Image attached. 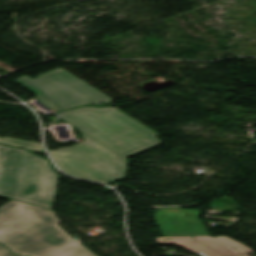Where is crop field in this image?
I'll return each instance as SVG.
<instances>
[{"mask_svg":"<svg viewBox=\"0 0 256 256\" xmlns=\"http://www.w3.org/2000/svg\"><path fill=\"white\" fill-rule=\"evenodd\" d=\"M200 214V211L192 209H158L155 220L164 236L209 235L199 220Z\"/></svg>","mask_w":256,"mask_h":256,"instance_id":"obj_5","label":"crop field"},{"mask_svg":"<svg viewBox=\"0 0 256 256\" xmlns=\"http://www.w3.org/2000/svg\"><path fill=\"white\" fill-rule=\"evenodd\" d=\"M166 238H169L171 241H163ZM157 243L178 244L187 250L202 256H220L217 252L195 242L192 237H160L157 238Z\"/></svg>","mask_w":256,"mask_h":256,"instance_id":"obj_7","label":"crop field"},{"mask_svg":"<svg viewBox=\"0 0 256 256\" xmlns=\"http://www.w3.org/2000/svg\"><path fill=\"white\" fill-rule=\"evenodd\" d=\"M27 152L0 146V196L45 208L57 177L47 161Z\"/></svg>","mask_w":256,"mask_h":256,"instance_id":"obj_3","label":"crop field"},{"mask_svg":"<svg viewBox=\"0 0 256 256\" xmlns=\"http://www.w3.org/2000/svg\"><path fill=\"white\" fill-rule=\"evenodd\" d=\"M61 119L82 132V142L49 151L65 173L108 184L125 177V158L160 141L156 134L115 108H82L58 113Z\"/></svg>","mask_w":256,"mask_h":256,"instance_id":"obj_1","label":"crop field"},{"mask_svg":"<svg viewBox=\"0 0 256 256\" xmlns=\"http://www.w3.org/2000/svg\"><path fill=\"white\" fill-rule=\"evenodd\" d=\"M193 238L194 240L214 249L222 256H232V255L252 252L251 249L237 242H234L225 236H220L215 238L211 236H202V237H193ZM233 247H235L237 250L233 249Z\"/></svg>","mask_w":256,"mask_h":256,"instance_id":"obj_6","label":"crop field"},{"mask_svg":"<svg viewBox=\"0 0 256 256\" xmlns=\"http://www.w3.org/2000/svg\"><path fill=\"white\" fill-rule=\"evenodd\" d=\"M244 256H249V255H244Z\"/></svg>","mask_w":256,"mask_h":256,"instance_id":"obj_10","label":"crop field"},{"mask_svg":"<svg viewBox=\"0 0 256 256\" xmlns=\"http://www.w3.org/2000/svg\"><path fill=\"white\" fill-rule=\"evenodd\" d=\"M0 256H15V255H11L6 249L0 246Z\"/></svg>","mask_w":256,"mask_h":256,"instance_id":"obj_9","label":"crop field"},{"mask_svg":"<svg viewBox=\"0 0 256 256\" xmlns=\"http://www.w3.org/2000/svg\"><path fill=\"white\" fill-rule=\"evenodd\" d=\"M16 82L36 92L39 101L57 112L83 104H105L112 101L62 69L45 73L35 80L22 76Z\"/></svg>","mask_w":256,"mask_h":256,"instance_id":"obj_4","label":"crop field"},{"mask_svg":"<svg viewBox=\"0 0 256 256\" xmlns=\"http://www.w3.org/2000/svg\"><path fill=\"white\" fill-rule=\"evenodd\" d=\"M59 223L54 212L12 200L0 207V244L24 256H95Z\"/></svg>","mask_w":256,"mask_h":256,"instance_id":"obj_2","label":"crop field"},{"mask_svg":"<svg viewBox=\"0 0 256 256\" xmlns=\"http://www.w3.org/2000/svg\"><path fill=\"white\" fill-rule=\"evenodd\" d=\"M0 143L7 144L13 147H21L25 148L27 150H33V151H41V145L38 143L28 142V141H22V140H16V139H9L2 137L0 138Z\"/></svg>","mask_w":256,"mask_h":256,"instance_id":"obj_8","label":"crop field"}]
</instances>
